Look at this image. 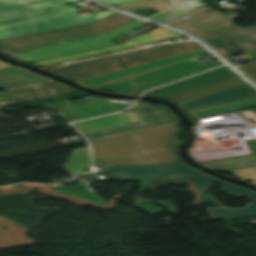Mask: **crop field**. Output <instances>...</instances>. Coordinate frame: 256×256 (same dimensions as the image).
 Masks as SVG:
<instances>
[{"label":"crop field","instance_id":"8a807250","mask_svg":"<svg viewBox=\"0 0 256 256\" xmlns=\"http://www.w3.org/2000/svg\"><path fill=\"white\" fill-rule=\"evenodd\" d=\"M179 124V123H178ZM178 124L91 141L94 164L103 169L122 165L180 161Z\"/></svg>","mask_w":256,"mask_h":256},{"label":"crop field","instance_id":"ac0d7876","mask_svg":"<svg viewBox=\"0 0 256 256\" xmlns=\"http://www.w3.org/2000/svg\"><path fill=\"white\" fill-rule=\"evenodd\" d=\"M198 49H202V47L195 42L175 43L86 61L48 71L72 79L74 81H78L107 72L172 57Z\"/></svg>","mask_w":256,"mask_h":256},{"label":"crop field","instance_id":"34b2d1b8","mask_svg":"<svg viewBox=\"0 0 256 256\" xmlns=\"http://www.w3.org/2000/svg\"><path fill=\"white\" fill-rule=\"evenodd\" d=\"M58 9L61 11L57 12ZM45 11L48 14L1 24L0 40L92 23L115 14L106 10L79 15L73 4Z\"/></svg>","mask_w":256,"mask_h":256},{"label":"crop field","instance_id":"412701ff","mask_svg":"<svg viewBox=\"0 0 256 256\" xmlns=\"http://www.w3.org/2000/svg\"><path fill=\"white\" fill-rule=\"evenodd\" d=\"M98 173L118 180H139L148 183L198 180L196 187L203 195L206 185L218 179L197 171L183 162L143 164L111 168Z\"/></svg>","mask_w":256,"mask_h":256},{"label":"crop field","instance_id":"f4fd0767","mask_svg":"<svg viewBox=\"0 0 256 256\" xmlns=\"http://www.w3.org/2000/svg\"><path fill=\"white\" fill-rule=\"evenodd\" d=\"M134 19L135 18L125 15L116 14L93 24L67 28L37 35L2 40L0 41V46H8L0 48V52L5 55H10L35 48L61 43V41L55 40L51 37H57L61 40H74L102 32H107L113 28L129 23Z\"/></svg>","mask_w":256,"mask_h":256},{"label":"crop field","instance_id":"dd49c442","mask_svg":"<svg viewBox=\"0 0 256 256\" xmlns=\"http://www.w3.org/2000/svg\"><path fill=\"white\" fill-rule=\"evenodd\" d=\"M220 61L209 64H202L195 59L187 60L172 66L154 70L148 73L123 79L117 82L99 86L96 90L113 92V93H127L138 94L140 92L203 72L205 70L222 65Z\"/></svg>","mask_w":256,"mask_h":256},{"label":"crop field","instance_id":"e52e79f7","mask_svg":"<svg viewBox=\"0 0 256 256\" xmlns=\"http://www.w3.org/2000/svg\"><path fill=\"white\" fill-rule=\"evenodd\" d=\"M147 24V22H142L138 19L135 21L126 24L124 26L118 27L108 33H102L74 41H69L66 43H61L53 46H48L40 49H35L15 55H11L14 58H17L26 63L33 61H40L44 59H49L53 57H58L62 55H67L71 53L81 52L85 50L106 47L115 45V43L110 40L127 34L133 30H136Z\"/></svg>","mask_w":256,"mask_h":256},{"label":"crop field","instance_id":"d8731c3e","mask_svg":"<svg viewBox=\"0 0 256 256\" xmlns=\"http://www.w3.org/2000/svg\"><path fill=\"white\" fill-rule=\"evenodd\" d=\"M196 35L227 57L256 48V26L241 29L234 25Z\"/></svg>","mask_w":256,"mask_h":256},{"label":"crop field","instance_id":"5a996713","mask_svg":"<svg viewBox=\"0 0 256 256\" xmlns=\"http://www.w3.org/2000/svg\"><path fill=\"white\" fill-rule=\"evenodd\" d=\"M126 112L129 115H131L134 119H136L140 124L126 125L122 127L85 134L88 141L116 136L132 131L162 126L166 124L178 123L174 114L162 104L130 110Z\"/></svg>","mask_w":256,"mask_h":256},{"label":"crop field","instance_id":"3316defc","mask_svg":"<svg viewBox=\"0 0 256 256\" xmlns=\"http://www.w3.org/2000/svg\"><path fill=\"white\" fill-rule=\"evenodd\" d=\"M130 105L131 104L129 103L103 100L68 107V100H66L42 107L49 111L55 110L60 115H62L66 120L72 122L84 118L101 116L116 111H120L127 108Z\"/></svg>","mask_w":256,"mask_h":256},{"label":"crop field","instance_id":"28ad6ade","mask_svg":"<svg viewBox=\"0 0 256 256\" xmlns=\"http://www.w3.org/2000/svg\"><path fill=\"white\" fill-rule=\"evenodd\" d=\"M207 53H209V52L205 49L199 50V51H194V52L178 55V56H175L172 58H168V59H164V60H160V61H156V62H152V63H148V64H144V65H140V66H136V67H132V68H128V69H124V70H120V71H116V72H112V73H108V74H104V75H100V76H97L94 78L78 81L77 83H79L83 86L92 88V87L110 83V82H113L116 80H120L123 78L141 74L144 72H148V71H151L154 69L172 65V64H175L178 62H182V61H185L190 58H196V57H199V56L207 54Z\"/></svg>","mask_w":256,"mask_h":256},{"label":"crop field","instance_id":"d1516ede","mask_svg":"<svg viewBox=\"0 0 256 256\" xmlns=\"http://www.w3.org/2000/svg\"><path fill=\"white\" fill-rule=\"evenodd\" d=\"M254 97H256V89L246 84L186 102L178 103V105H180L186 112L190 113Z\"/></svg>","mask_w":256,"mask_h":256},{"label":"crop field","instance_id":"22f410ed","mask_svg":"<svg viewBox=\"0 0 256 256\" xmlns=\"http://www.w3.org/2000/svg\"><path fill=\"white\" fill-rule=\"evenodd\" d=\"M233 76H236V74L227 67H222L217 70L192 77L182 82L154 90L144 94L143 96H154L160 99H165L221 80L231 78Z\"/></svg>","mask_w":256,"mask_h":256},{"label":"crop field","instance_id":"cbeb9de0","mask_svg":"<svg viewBox=\"0 0 256 256\" xmlns=\"http://www.w3.org/2000/svg\"><path fill=\"white\" fill-rule=\"evenodd\" d=\"M178 36H182V34H179L174 31H170L163 27H159L151 32L143 34L139 37H136L134 39H131V40L126 41L119 45L90 50V51L76 53V54H71V55L53 58V59H49V60H44V61L32 63L31 65H33L35 67H39V66H44V65H48V64H53V63H58V62H62V61H67V60H72V59H76V58H81V57H86V56H90V55L109 52V51H113V50L132 47V46H136V45H141V44H145V43L164 40V39H168V38L178 37Z\"/></svg>","mask_w":256,"mask_h":256},{"label":"crop field","instance_id":"5142ce71","mask_svg":"<svg viewBox=\"0 0 256 256\" xmlns=\"http://www.w3.org/2000/svg\"><path fill=\"white\" fill-rule=\"evenodd\" d=\"M216 182L222 184V186H224L223 190L227 191L228 193L234 196L247 195L248 198L254 201L243 209L231 210L223 207L210 195L202 197L205 201L212 202L213 204H215L216 206H220L221 208H209L208 210L212 219L200 220V222L256 215V193L225 181L218 180Z\"/></svg>","mask_w":256,"mask_h":256},{"label":"crop field","instance_id":"d9b57169","mask_svg":"<svg viewBox=\"0 0 256 256\" xmlns=\"http://www.w3.org/2000/svg\"><path fill=\"white\" fill-rule=\"evenodd\" d=\"M237 19L236 13L224 15L210 9L193 14L172 25L188 30L192 33L234 25L231 21Z\"/></svg>","mask_w":256,"mask_h":256},{"label":"crop field","instance_id":"733c2abd","mask_svg":"<svg viewBox=\"0 0 256 256\" xmlns=\"http://www.w3.org/2000/svg\"><path fill=\"white\" fill-rule=\"evenodd\" d=\"M83 0H49L37 4L0 11V23L47 13L43 9L63 6Z\"/></svg>","mask_w":256,"mask_h":256},{"label":"crop field","instance_id":"4a817a6b","mask_svg":"<svg viewBox=\"0 0 256 256\" xmlns=\"http://www.w3.org/2000/svg\"><path fill=\"white\" fill-rule=\"evenodd\" d=\"M131 116L126 112L110 115L106 117L96 118L88 121L72 124L82 134L108 129L112 127L122 126L126 124H137Z\"/></svg>","mask_w":256,"mask_h":256},{"label":"crop field","instance_id":"bc2a9ffb","mask_svg":"<svg viewBox=\"0 0 256 256\" xmlns=\"http://www.w3.org/2000/svg\"><path fill=\"white\" fill-rule=\"evenodd\" d=\"M242 84H246V83L244 81L240 80L238 76H236L234 78H231V79H228V80H225L222 82H218V83H215V84H212V85H209V86H206V87H203V88H200V89L188 92V93H184V94L172 97V98H168L165 100H169L173 103H178V102L186 101V100L193 99L196 97H200L203 95H207L210 93H214L217 91H221V90H225V89L232 88L235 86H239Z\"/></svg>","mask_w":256,"mask_h":256},{"label":"crop field","instance_id":"214f88e0","mask_svg":"<svg viewBox=\"0 0 256 256\" xmlns=\"http://www.w3.org/2000/svg\"><path fill=\"white\" fill-rule=\"evenodd\" d=\"M40 88L46 89L50 95L74 90L73 88L66 86L60 82L52 81V82H47V83H43V84H38V85H33V86H29V87H24V88H19V89H15V90L2 92V93H0V101L1 100L8 101V102L4 103V105L13 104V103H15V101L12 97L14 94L31 91V90H35V89H40Z\"/></svg>","mask_w":256,"mask_h":256},{"label":"crop field","instance_id":"92a150f3","mask_svg":"<svg viewBox=\"0 0 256 256\" xmlns=\"http://www.w3.org/2000/svg\"><path fill=\"white\" fill-rule=\"evenodd\" d=\"M204 2L205 0H178L175 7L153 17V19L168 22L205 5Z\"/></svg>","mask_w":256,"mask_h":256},{"label":"crop field","instance_id":"dafd665d","mask_svg":"<svg viewBox=\"0 0 256 256\" xmlns=\"http://www.w3.org/2000/svg\"><path fill=\"white\" fill-rule=\"evenodd\" d=\"M91 164L87 148L75 149L69 156L65 168L73 178L79 174L86 173L84 167Z\"/></svg>","mask_w":256,"mask_h":256},{"label":"crop field","instance_id":"00972430","mask_svg":"<svg viewBox=\"0 0 256 256\" xmlns=\"http://www.w3.org/2000/svg\"><path fill=\"white\" fill-rule=\"evenodd\" d=\"M57 192L73 193L77 197L82 198L84 202L95 200L98 205L107 204L106 200L93 192L88 185H76L64 187L62 185H54Z\"/></svg>","mask_w":256,"mask_h":256},{"label":"crop field","instance_id":"a9b5d70f","mask_svg":"<svg viewBox=\"0 0 256 256\" xmlns=\"http://www.w3.org/2000/svg\"><path fill=\"white\" fill-rule=\"evenodd\" d=\"M52 81L51 79L45 78L43 76L37 75L35 73L17 76L13 78H8L0 80V89L5 88L7 90L24 87L28 85L38 84L42 82Z\"/></svg>","mask_w":256,"mask_h":256},{"label":"crop field","instance_id":"4177f3b9","mask_svg":"<svg viewBox=\"0 0 256 256\" xmlns=\"http://www.w3.org/2000/svg\"><path fill=\"white\" fill-rule=\"evenodd\" d=\"M252 106H256V98L234 103V104H229L225 106H220V107H215L211 109L190 113V115L195 117L196 119H200V118H206V117H210V116H214V115H218V114H222V113H226V112H230L238 109H243L247 107H252Z\"/></svg>","mask_w":256,"mask_h":256},{"label":"crop field","instance_id":"730fd06b","mask_svg":"<svg viewBox=\"0 0 256 256\" xmlns=\"http://www.w3.org/2000/svg\"><path fill=\"white\" fill-rule=\"evenodd\" d=\"M172 5H174V4L169 3L166 0H141V1H136V2L118 4V5H114V6L123 8L125 10H129V11L153 8L160 12Z\"/></svg>","mask_w":256,"mask_h":256},{"label":"crop field","instance_id":"eef30255","mask_svg":"<svg viewBox=\"0 0 256 256\" xmlns=\"http://www.w3.org/2000/svg\"><path fill=\"white\" fill-rule=\"evenodd\" d=\"M44 0H0V10L26 5V4H32L36 2H40Z\"/></svg>","mask_w":256,"mask_h":256},{"label":"crop field","instance_id":"ae1a2a85","mask_svg":"<svg viewBox=\"0 0 256 256\" xmlns=\"http://www.w3.org/2000/svg\"><path fill=\"white\" fill-rule=\"evenodd\" d=\"M27 73H31V72L15 66L7 67V68L0 69V79L27 74Z\"/></svg>","mask_w":256,"mask_h":256},{"label":"crop field","instance_id":"d3111659","mask_svg":"<svg viewBox=\"0 0 256 256\" xmlns=\"http://www.w3.org/2000/svg\"><path fill=\"white\" fill-rule=\"evenodd\" d=\"M136 205L140 209H142L150 214H157L162 211L158 207L150 204L149 200L136 201Z\"/></svg>","mask_w":256,"mask_h":256},{"label":"crop field","instance_id":"750c4746","mask_svg":"<svg viewBox=\"0 0 256 256\" xmlns=\"http://www.w3.org/2000/svg\"><path fill=\"white\" fill-rule=\"evenodd\" d=\"M155 203L164 205L165 207H167L170 210V212H173L174 214L178 213V209L176 207H174V205L170 204V202H168V201L155 202Z\"/></svg>","mask_w":256,"mask_h":256},{"label":"crop field","instance_id":"bd1437ed","mask_svg":"<svg viewBox=\"0 0 256 256\" xmlns=\"http://www.w3.org/2000/svg\"><path fill=\"white\" fill-rule=\"evenodd\" d=\"M240 69H242L246 73L254 71V70H256V63L240 67Z\"/></svg>","mask_w":256,"mask_h":256},{"label":"crop field","instance_id":"1d83c4d3","mask_svg":"<svg viewBox=\"0 0 256 256\" xmlns=\"http://www.w3.org/2000/svg\"><path fill=\"white\" fill-rule=\"evenodd\" d=\"M101 1L108 3L110 5H114L118 3L130 2V1H136V0H101Z\"/></svg>","mask_w":256,"mask_h":256},{"label":"crop field","instance_id":"120bbe31","mask_svg":"<svg viewBox=\"0 0 256 256\" xmlns=\"http://www.w3.org/2000/svg\"><path fill=\"white\" fill-rule=\"evenodd\" d=\"M145 106H150V105L147 103H144V102H140V103L134 105L133 107H131L130 109H135V108H140V107H145ZM130 109H128V110H130Z\"/></svg>","mask_w":256,"mask_h":256},{"label":"crop field","instance_id":"d32e631a","mask_svg":"<svg viewBox=\"0 0 256 256\" xmlns=\"http://www.w3.org/2000/svg\"><path fill=\"white\" fill-rule=\"evenodd\" d=\"M149 188H150V184L142 182L140 193L149 189Z\"/></svg>","mask_w":256,"mask_h":256},{"label":"crop field","instance_id":"5866460e","mask_svg":"<svg viewBox=\"0 0 256 256\" xmlns=\"http://www.w3.org/2000/svg\"><path fill=\"white\" fill-rule=\"evenodd\" d=\"M244 53L256 59V49Z\"/></svg>","mask_w":256,"mask_h":256},{"label":"crop field","instance_id":"028f5c9d","mask_svg":"<svg viewBox=\"0 0 256 256\" xmlns=\"http://www.w3.org/2000/svg\"><path fill=\"white\" fill-rule=\"evenodd\" d=\"M7 66H11V65L0 61V68L7 67Z\"/></svg>","mask_w":256,"mask_h":256},{"label":"crop field","instance_id":"e1f06a70","mask_svg":"<svg viewBox=\"0 0 256 256\" xmlns=\"http://www.w3.org/2000/svg\"><path fill=\"white\" fill-rule=\"evenodd\" d=\"M207 7H209L208 5H205V6H203V7H201V8H199V9H203V8H207ZM199 9H197V10H199ZM197 10H195V11H197ZM195 11H193V12H195ZM192 13V12H191ZM190 15V14H189ZM186 16V15H185ZM184 17V16H183ZM180 18H182V17H180ZM180 18H178V19H180ZM178 19H175V20H173V21H176V20H178ZM173 21H170V22H173ZM170 22H168V23H170Z\"/></svg>","mask_w":256,"mask_h":256},{"label":"crop field","instance_id":"0bd39190","mask_svg":"<svg viewBox=\"0 0 256 256\" xmlns=\"http://www.w3.org/2000/svg\"><path fill=\"white\" fill-rule=\"evenodd\" d=\"M248 75H250L253 79L256 80V71L248 73Z\"/></svg>","mask_w":256,"mask_h":256},{"label":"crop field","instance_id":"b80d0937","mask_svg":"<svg viewBox=\"0 0 256 256\" xmlns=\"http://www.w3.org/2000/svg\"><path fill=\"white\" fill-rule=\"evenodd\" d=\"M168 1H170V2H171V1H173V0H168Z\"/></svg>","mask_w":256,"mask_h":256},{"label":"crop field","instance_id":"c035e120","mask_svg":"<svg viewBox=\"0 0 256 256\" xmlns=\"http://www.w3.org/2000/svg\"><path fill=\"white\" fill-rule=\"evenodd\" d=\"M254 225H256V223H254Z\"/></svg>","mask_w":256,"mask_h":256}]
</instances>
